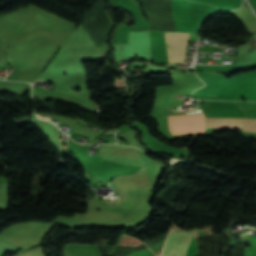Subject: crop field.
<instances>
[{
	"instance_id": "crop-field-1",
	"label": "crop field",
	"mask_w": 256,
	"mask_h": 256,
	"mask_svg": "<svg viewBox=\"0 0 256 256\" xmlns=\"http://www.w3.org/2000/svg\"><path fill=\"white\" fill-rule=\"evenodd\" d=\"M161 33H162V37L165 45L167 64L179 63V60H180V63L184 62L189 33H175L179 60H178L174 33H168V32H161Z\"/></svg>"
},
{
	"instance_id": "crop-field-2",
	"label": "crop field",
	"mask_w": 256,
	"mask_h": 256,
	"mask_svg": "<svg viewBox=\"0 0 256 256\" xmlns=\"http://www.w3.org/2000/svg\"><path fill=\"white\" fill-rule=\"evenodd\" d=\"M189 3L187 0L172 1L171 10L176 32H194Z\"/></svg>"
},
{
	"instance_id": "crop-field-3",
	"label": "crop field",
	"mask_w": 256,
	"mask_h": 256,
	"mask_svg": "<svg viewBox=\"0 0 256 256\" xmlns=\"http://www.w3.org/2000/svg\"><path fill=\"white\" fill-rule=\"evenodd\" d=\"M245 119L205 118V127L244 128Z\"/></svg>"
},
{
	"instance_id": "crop-field-4",
	"label": "crop field",
	"mask_w": 256,
	"mask_h": 256,
	"mask_svg": "<svg viewBox=\"0 0 256 256\" xmlns=\"http://www.w3.org/2000/svg\"><path fill=\"white\" fill-rule=\"evenodd\" d=\"M245 130L256 131V120L246 119Z\"/></svg>"
}]
</instances>
